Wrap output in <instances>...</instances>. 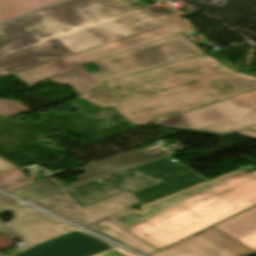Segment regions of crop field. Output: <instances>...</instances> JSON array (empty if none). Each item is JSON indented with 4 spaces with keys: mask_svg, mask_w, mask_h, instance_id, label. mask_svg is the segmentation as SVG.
<instances>
[{
    "mask_svg": "<svg viewBox=\"0 0 256 256\" xmlns=\"http://www.w3.org/2000/svg\"><path fill=\"white\" fill-rule=\"evenodd\" d=\"M193 25L185 18L157 28H153L120 40L91 48L28 70L13 74L30 86L47 77L69 70L84 63L112 55L162 37L191 29Z\"/></svg>",
    "mask_w": 256,
    "mask_h": 256,
    "instance_id": "obj_6",
    "label": "crop field"
},
{
    "mask_svg": "<svg viewBox=\"0 0 256 256\" xmlns=\"http://www.w3.org/2000/svg\"><path fill=\"white\" fill-rule=\"evenodd\" d=\"M117 1L122 2V3H125V4H127V5H130V6H132V7H135V8H137V9L142 10V11H145V12H147V13H149V14H152V15H154V16H157V17L162 18V19H164V20H167V21H169V22H172V21H175V20H179L180 18H179L178 16L183 14V12H181V11H177V12H174V13L169 14V15L160 14V13H155V12H150V11L144 10V9L139 8V7H137V6H135V5L132 4L133 2H135V1H137V0H117Z\"/></svg>",
    "mask_w": 256,
    "mask_h": 256,
    "instance_id": "obj_21",
    "label": "crop field"
},
{
    "mask_svg": "<svg viewBox=\"0 0 256 256\" xmlns=\"http://www.w3.org/2000/svg\"><path fill=\"white\" fill-rule=\"evenodd\" d=\"M30 110L26 105L18 102V101H10L8 99L0 98V116H13L25 112H29Z\"/></svg>",
    "mask_w": 256,
    "mask_h": 256,
    "instance_id": "obj_20",
    "label": "crop field"
},
{
    "mask_svg": "<svg viewBox=\"0 0 256 256\" xmlns=\"http://www.w3.org/2000/svg\"><path fill=\"white\" fill-rule=\"evenodd\" d=\"M61 0H0V23Z\"/></svg>",
    "mask_w": 256,
    "mask_h": 256,
    "instance_id": "obj_16",
    "label": "crop field"
},
{
    "mask_svg": "<svg viewBox=\"0 0 256 256\" xmlns=\"http://www.w3.org/2000/svg\"><path fill=\"white\" fill-rule=\"evenodd\" d=\"M238 133L241 134V135H244L246 137H249V138H252V139L256 140V132L251 131L249 129H247L245 131H242V132H238Z\"/></svg>",
    "mask_w": 256,
    "mask_h": 256,
    "instance_id": "obj_31",
    "label": "crop field"
},
{
    "mask_svg": "<svg viewBox=\"0 0 256 256\" xmlns=\"http://www.w3.org/2000/svg\"><path fill=\"white\" fill-rule=\"evenodd\" d=\"M126 85H127L130 89L135 90V91H139V92H147V91H148L147 89L142 88V87L136 85V84L133 83V82L126 83Z\"/></svg>",
    "mask_w": 256,
    "mask_h": 256,
    "instance_id": "obj_29",
    "label": "crop field"
},
{
    "mask_svg": "<svg viewBox=\"0 0 256 256\" xmlns=\"http://www.w3.org/2000/svg\"><path fill=\"white\" fill-rule=\"evenodd\" d=\"M74 229L76 228L48 215L10 228L11 232L24 242V245L17 246V250L8 256H12L34 244Z\"/></svg>",
    "mask_w": 256,
    "mask_h": 256,
    "instance_id": "obj_13",
    "label": "crop field"
},
{
    "mask_svg": "<svg viewBox=\"0 0 256 256\" xmlns=\"http://www.w3.org/2000/svg\"><path fill=\"white\" fill-rule=\"evenodd\" d=\"M16 166L6 162L5 160L0 158V173L6 172V171H10L15 169Z\"/></svg>",
    "mask_w": 256,
    "mask_h": 256,
    "instance_id": "obj_28",
    "label": "crop field"
},
{
    "mask_svg": "<svg viewBox=\"0 0 256 256\" xmlns=\"http://www.w3.org/2000/svg\"><path fill=\"white\" fill-rule=\"evenodd\" d=\"M252 254H256V253H252ZM252 254H249V255H246V256H250V255H252Z\"/></svg>",
    "mask_w": 256,
    "mask_h": 256,
    "instance_id": "obj_37",
    "label": "crop field"
},
{
    "mask_svg": "<svg viewBox=\"0 0 256 256\" xmlns=\"http://www.w3.org/2000/svg\"><path fill=\"white\" fill-rule=\"evenodd\" d=\"M252 252L211 227L151 256H243Z\"/></svg>",
    "mask_w": 256,
    "mask_h": 256,
    "instance_id": "obj_8",
    "label": "crop field"
},
{
    "mask_svg": "<svg viewBox=\"0 0 256 256\" xmlns=\"http://www.w3.org/2000/svg\"><path fill=\"white\" fill-rule=\"evenodd\" d=\"M12 211L14 212V218L11 222L6 223L8 228L45 215L27 205L15 208Z\"/></svg>",
    "mask_w": 256,
    "mask_h": 256,
    "instance_id": "obj_19",
    "label": "crop field"
},
{
    "mask_svg": "<svg viewBox=\"0 0 256 256\" xmlns=\"http://www.w3.org/2000/svg\"><path fill=\"white\" fill-rule=\"evenodd\" d=\"M167 156L137 167V169L165 182L133 192L143 204L207 181L204 177L182 165L171 162ZM151 171L155 173H150Z\"/></svg>",
    "mask_w": 256,
    "mask_h": 256,
    "instance_id": "obj_7",
    "label": "crop field"
},
{
    "mask_svg": "<svg viewBox=\"0 0 256 256\" xmlns=\"http://www.w3.org/2000/svg\"><path fill=\"white\" fill-rule=\"evenodd\" d=\"M23 175H25V174L22 171L18 170V169L0 174V183L11 180V179L21 177Z\"/></svg>",
    "mask_w": 256,
    "mask_h": 256,
    "instance_id": "obj_24",
    "label": "crop field"
},
{
    "mask_svg": "<svg viewBox=\"0 0 256 256\" xmlns=\"http://www.w3.org/2000/svg\"><path fill=\"white\" fill-rule=\"evenodd\" d=\"M92 92L98 95H101L109 100L118 98L117 96L114 95V93H112L110 90L106 88V85L93 88Z\"/></svg>",
    "mask_w": 256,
    "mask_h": 256,
    "instance_id": "obj_23",
    "label": "crop field"
},
{
    "mask_svg": "<svg viewBox=\"0 0 256 256\" xmlns=\"http://www.w3.org/2000/svg\"><path fill=\"white\" fill-rule=\"evenodd\" d=\"M137 202L139 201L134 197V195L127 191L85 208L79 204H75L54 213L81 226H84L122 213L131 208L129 205Z\"/></svg>",
    "mask_w": 256,
    "mask_h": 256,
    "instance_id": "obj_11",
    "label": "crop field"
},
{
    "mask_svg": "<svg viewBox=\"0 0 256 256\" xmlns=\"http://www.w3.org/2000/svg\"><path fill=\"white\" fill-rule=\"evenodd\" d=\"M169 154L165 150L155 152V153H148L141 150H131L119 155H116L112 158L90 164L87 166H83V169L85 170V175L77 176L76 178L79 180L76 183L73 184H65L63 182H59L55 180L57 183L62 185L65 188L72 187L78 184H82L100 177H103L105 175L111 174L116 171H120L135 165H139L151 160H154L156 158L162 157L164 155Z\"/></svg>",
    "mask_w": 256,
    "mask_h": 256,
    "instance_id": "obj_12",
    "label": "crop field"
},
{
    "mask_svg": "<svg viewBox=\"0 0 256 256\" xmlns=\"http://www.w3.org/2000/svg\"><path fill=\"white\" fill-rule=\"evenodd\" d=\"M62 190L63 189L58 185L47 179L13 191H9L7 193L14 194L23 200L30 201L38 197Z\"/></svg>",
    "mask_w": 256,
    "mask_h": 256,
    "instance_id": "obj_17",
    "label": "crop field"
},
{
    "mask_svg": "<svg viewBox=\"0 0 256 256\" xmlns=\"http://www.w3.org/2000/svg\"><path fill=\"white\" fill-rule=\"evenodd\" d=\"M250 129H252V130H255V131H256V127H253V128H250Z\"/></svg>",
    "mask_w": 256,
    "mask_h": 256,
    "instance_id": "obj_36",
    "label": "crop field"
},
{
    "mask_svg": "<svg viewBox=\"0 0 256 256\" xmlns=\"http://www.w3.org/2000/svg\"><path fill=\"white\" fill-rule=\"evenodd\" d=\"M252 76H256V73L254 75H252Z\"/></svg>",
    "mask_w": 256,
    "mask_h": 256,
    "instance_id": "obj_38",
    "label": "crop field"
},
{
    "mask_svg": "<svg viewBox=\"0 0 256 256\" xmlns=\"http://www.w3.org/2000/svg\"><path fill=\"white\" fill-rule=\"evenodd\" d=\"M20 202H17L15 200H12L2 194H0V210L5 209L14 205L19 204ZM20 205V204H19ZM18 206V205H17ZM15 207V206H14Z\"/></svg>",
    "mask_w": 256,
    "mask_h": 256,
    "instance_id": "obj_26",
    "label": "crop field"
},
{
    "mask_svg": "<svg viewBox=\"0 0 256 256\" xmlns=\"http://www.w3.org/2000/svg\"><path fill=\"white\" fill-rule=\"evenodd\" d=\"M178 113H181V112L174 111V112H170V113H165V114H160V115L152 116V118H153L155 121H157V120H160V119H163V118H166V117H169V116L178 114Z\"/></svg>",
    "mask_w": 256,
    "mask_h": 256,
    "instance_id": "obj_30",
    "label": "crop field"
},
{
    "mask_svg": "<svg viewBox=\"0 0 256 256\" xmlns=\"http://www.w3.org/2000/svg\"><path fill=\"white\" fill-rule=\"evenodd\" d=\"M239 171H241V170H239ZM241 172H243V173H245V174H247V175H249V176H251V177L256 176V171L253 172V173H251V174H249V173H247V172H245V171H241Z\"/></svg>",
    "mask_w": 256,
    "mask_h": 256,
    "instance_id": "obj_35",
    "label": "crop field"
},
{
    "mask_svg": "<svg viewBox=\"0 0 256 256\" xmlns=\"http://www.w3.org/2000/svg\"><path fill=\"white\" fill-rule=\"evenodd\" d=\"M212 86L217 89L222 95L230 93V92H234L236 90H234L233 88H231L227 83H225L224 81H220L217 83H213Z\"/></svg>",
    "mask_w": 256,
    "mask_h": 256,
    "instance_id": "obj_25",
    "label": "crop field"
},
{
    "mask_svg": "<svg viewBox=\"0 0 256 256\" xmlns=\"http://www.w3.org/2000/svg\"><path fill=\"white\" fill-rule=\"evenodd\" d=\"M32 204L54 212L56 210L75 204V202L69 194H67L66 192H62L34 201L32 202Z\"/></svg>",
    "mask_w": 256,
    "mask_h": 256,
    "instance_id": "obj_18",
    "label": "crop field"
},
{
    "mask_svg": "<svg viewBox=\"0 0 256 256\" xmlns=\"http://www.w3.org/2000/svg\"><path fill=\"white\" fill-rule=\"evenodd\" d=\"M117 174L119 178L98 184L93 181L67 190L83 207L103 200L123 191H136L160 182L159 179L144 174L136 169Z\"/></svg>",
    "mask_w": 256,
    "mask_h": 256,
    "instance_id": "obj_9",
    "label": "crop field"
},
{
    "mask_svg": "<svg viewBox=\"0 0 256 256\" xmlns=\"http://www.w3.org/2000/svg\"><path fill=\"white\" fill-rule=\"evenodd\" d=\"M256 204V177L237 170L108 218L161 249Z\"/></svg>",
    "mask_w": 256,
    "mask_h": 256,
    "instance_id": "obj_3",
    "label": "crop field"
},
{
    "mask_svg": "<svg viewBox=\"0 0 256 256\" xmlns=\"http://www.w3.org/2000/svg\"><path fill=\"white\" fill-rule=\"evenodd\" d=\"M166 23L114 0H71L0 27V77Z\"/></svg>",
    "mask_w": 256,
    "mask_h": 256,
    "instance_id": "obj_1",
    "label": "crop field"
},
{
    "mask_svg": "<svg viewBox=\"0 0 256 256\" xmlns=\"http://www.w3.org/2000/svg\"><path fill=\"white\" fill-rule=\"evenodd\" d=\"M7 232H8V230L4 227V225L0 221V234L1 233H7Z\"/></svg>",
    "mask_w": 256,
    "mask_h": 256,
    "instance_id": "obj_34",
    "label": "crop field"
},
{
    "mask_svg": "<svg viewBox=\"0 0 256 256\" xmlns=\"http://www.w3.org/2000/svg\"><path fill=\"white\" fill-rule=\"evenodd\" d=\"M224 80L237 92L222 96L210 83ZM133 81L150 92L131 91ZM120 99L109 101L88 92L79 98L101 108L111 106L134 125L154 122L152 115L201 105L256 89V77L228 70L216 59L203 55L105 82Z\"/></svg>",
    "mask_w": 256,
    "mask_h": 256,
    "instance_id": "obj_2",
    "label": "crop field"
},
{
    "mask_svg": "<svg viewBox=\"0 0 256 256\" xmlns=\"http://www.w3.org/2000/svg\"><path fill=\"white\" fill-rule=\"evenodd\" d=\"M96 256H121L120 254H118L117 252L111 250V251H107L103 254L100 255H96Z\"/></svg>",
    "mask_w": 256,
    "mask_h": 256,
    "instance_id": "obj_33",
    "label": "crop field"
},
{
    "mask_svg": "<svg viewBox=\"0 0 256 256\" xmlns=\"http://www.w3.org/2000/svg\"><path fill=\"white\" fill-rule=\"evenodd\" d=\"M203 54V51L185 37L177 34L93 62L98 68L97 73H89L79 67L52 77L50 80L58 85H70L80 95L91 91L95 86L104 85V81Z\"/></svg>",
    "mask_w": 256,
    "mask_h": 256,
    "instance_id": "obj_4",
    "label": "crop field"
},
{
    "mask_svg": "<svg viewBox=\"0 0 256 256\" xmlns=\"http://www.w3.org/2000/svg\"><path fill=\"white\" fill-rule=\"evenodd\" d=\"M114 245L82 230L44 242L16 256H89Z\"/></svg>",
    "mask_w": 256,
    "mask_h": 256,
    "instance_id": "obj_10",
    "label": "crop field"
},
{
    "mask_svg": "<svg viewBox=\"0 0 256 256\" xmlns=\"http://www.w3.org/2000/svg\"><path fill=\"white\" fill-rule=\"evenodd\" d=\"M40 180H43V179H40ZM40 180L33 181L27 177H24V178H20V179L10 181V182L4 183V184H0V188L5 191H9V190H13V189L40 181Z\"/></svg>",
    "mask_w": 256,
    "mask_h": 256,
    "instance_id": "obj_22",
    "label": "crop field"
},
{
    "mask_svg": "<svg viewBox=\"0 0 256 256\" xmlns=\"http://www.w3.org/2000/svg\"><path fill=\"white\" fill-rule=\"evenodd\" d=\"M115 250L118 251L119 253L123 254L124 256H137V255H135V254H133V253H131L129 251H126V250H124V249H122L120 247L115 249Z\"/></svg>",
    "mask_w": 256,
    "mask_h": 256,
    "instance_id": "obj_32",
    "label": "crop field"
},
{
    "mask_svg": "<svg viewBox=\"0 0 256 256\" xmlns=\"http://www.w3.org/2000/svg\"><path fill=\"white\" fill-rule=\"evenodd\" d=\"M89 228L109 237H112L116 240H119L123 242V245L142 252L146 255L158 251V249L146 244L136 236L123 230L122 228L118 227L107 219L99 221L96 224L90 226Z\"/></svg>",
    "mask_w": 256,
    "mask_h": 256,
    "instance_id": "obj_15",
    "label": "crop field"
},
{
    "mask_svg": "<svg viewBox=\"0 0 256 256\" xmlns=\"http://www.w3.org/2000/svg\"><path fill=\"white\" fill-rule=\"evenodd\" d=\"M214 227L256 251V206Z\"/></svg>",
    "mask_w": 256,
    "mask_h": 256,
    "instance_id": "obj_14",
    "label": "crop field"
},
{
    "mask_svg": "<svg viewBox=\"0 0 256 256\" xmlns=\"http://www.w3.org/2000/svg\"><path fill=\"white\" fill-rule=\"evenodd\" d=\"M182 115V114H181ZM181 115H178V116H175V117H172V118H169V119H166V120H163V121H160L161 123L165 124V125H168L170 127H173L181 122H183L181 120Z\"/></svg>",
    "mask_w": 256,
    "mask_h": 256,
    "instance_id": "obj_27",
    "label": "crop field"
},
{
    "mask_svg": "<svg viewBox=\"0 0 256 256\" xmlns=\"http://www.w3.org/2000/svg\"><path fill=\"white\" fill-rule=\"evenodd\" d=\"M181 123L173 129L223 136L256 124V90L218 103L183 113ZM192 126L189 127L188 125Z\"/></svg>",
    "mask_w": 256,
    "mask_h": 256,
    "instance_id": "obj_5",
    "label": "crop field"
}]
</instances>
